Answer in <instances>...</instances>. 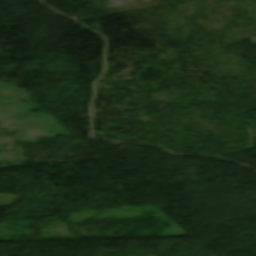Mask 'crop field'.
<instances>
[{"instance_id":"8a807250","label":"crop field","mask_w":256,"mask_h":256,"mask_svg":"<svg viewBox=\"0 0 256 256\" xmlns=\"http://www.w3.org/2000/svg\"><path fill=\"white\" fill-rule=\"evenodd\" d=\"M15 198H17V197L0 195V205L9 204V203L12 202Z\"/></svg>"}]
</instances>
